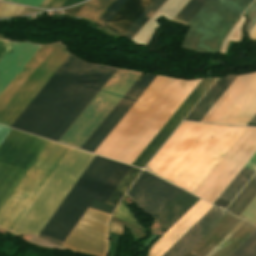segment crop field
Masks as SVG:
<instances>
[{"instance_id":"crop-field-1","label":"crop field","mask_w":256,"mask_h":256,"mask_svg":"<svg viewBox=\"0 0 256 256\" xmlns=\"http://www.w3.org/2000/svg\"><path fill=\"white\" fill-rule=\"evenodd\" d=\"M70 56L61 44L41 46L1 94L0 124L12 127ZM72 56L13 128L57 141L116 70Z\"/></svg>"},{"instance_id":"crop-field-2","label":"crop field","mask_w":256,"mask_h":256,"mask_svg":"<svg viewBox=\"0 0 256 256\" xmlns=\"http://www.w3.org/2000/svg\"><path fill=\"white\" fill-rule=\"evenodd\" d=\"M93 158L71 148L12 232L38 236ZM118 165L95 156L39 237L61 246Z\"/></svg>"},{"instance_id":"crop-field-3","label":"crop field","mask_w":256,"mask_h":256,"mask_svg":"<svg viewBox=\"0 0 256 256\" xmlns=\"http://www.w3.org/2000/svg\"><path fill=\"white\" fill-rule=\"evenodd\" d=\"M48 143L13 129L5 137L0 144V210ZM69 150L50 141L0 211L1 228L11 231Z\"/></svg>"},{"instance_id":"crop-field-4","label":"crop field","mask_w":256,"mask_h":256,"mask_svg":"<svg viewBox=\"0 0 256 256\" xmlns=\"http://www.w3.org/2000/svg\"><path fill=\"white\" fill-rule=\"evenodd\" d=\"M246 129L182 122L145 169L194 194Z\"/></svg>"},{"instance_id":"crop-field-5","label":"crop field","mask_w":256,"mask_h":256,"mask_svg":"<svg viewBox=\"0 0 256 256\" xmlns=\"http://www.w3.org/2000/svg\"><path fill=\"white\" fill-rule=\"evenodd\" d=\"M181 189L145 172L128 190L129 195L148 214L156 216ZM199 198L181 191L155 218L164 234Z\"/></svg>"},{"instance_id":"crop-field-6","label":"crop field","mask_w":256,"mask_h":256,"mask_svg":"<svg viewBox=\"0 0 256 256\" xmlns=\"http://www.w3.org/2000/svg\"><path fill=\"white\" fill-rule=\"evenodd\" d=\"M248 1L208 0L187 24L190 26V29L183 41L182 47L201 53H209L217 34ZM252 1L250 0L218 34L210 53H217L219 51L227 29Z\"/></svg>"},{"instance_id":"crop-field-7","label":"crop field","mask_w":256,"mask_h":256,"mask_svg":"<svg viewBox=\"0 0 256 256\" xmlns=\"http://www.w3.org/2000/svg\"><path fill=\"white\" fill-rule=\"evenodd\" d=\"M140 74L118 70L58 142L80 148Z\"/></svg>"},{"instance_id":"crop-field-8","label":"crop field","mask_w":256,"mask_h":256,"mask_svg":"<svg viewBox=\"0 0 256 256\" xmlns=\"http://www.w3.org/2000/svg\"><path fill=\"white\" fill-rule=\"evenodd\" d=\"M177 82L157 76L94 154L114 159Z\"/></svg>"},{"instance_id":"crop-field-9","label":"crop field","mask_w":256,"mask_h":256,"mask_svg":"<svg viewBox=\"0 0 256 256\" xmlns=\"http://www.w3.org/2000/svg\"><path fill=\"white\" fill-rule=\"evenodd\" d=\"M256 152V129L248 128L194 195L214 201Z\"/></svg>"},{"instance_id":"crop-field-10","label":"crop field","mask_w":256,"mask_h":256,"mask_svg":"<svg viewBox=\"0 0 256 256\" xmlns=\"http://www.w3.org/2000/svg\"><path fill=\"white\" fill-rule=\"evenodd\" d=\"M199 81L200 80L186 82L180 80L132 137V139L127 143V145L122 149V151L117 155L115 160L131 164Z\"/></svg>"},{"instance_id":"crop-field-11","label":"crop field","mask_w":256,"mask_h":256,"mask_svg":"<svg viewBox=\"0 0 256 256\" xmlns=\"http://www.w3.org/2000/svg\"><path fill=\"white\" fill-rule=\"evenodd\" d=\"M166 0H115L96 23L131 39Z\"/></svg>"},{"instance_id":"crop-field-12","label":"crop field","mask_w":256,"mask_h":256,"mask_svg":"<svg viewBox=\"0 0 256 256\" xmlns=\"http://www.w3.org/2000/svg\"><path fill=\"white\" fill-rule=\"evenodd\" d=\"M110 214L88 208L63 245L78 251L105 256Z\"/></svg>"},{"instance_id":"crop-field-13","label":"crop field","mask_w":256,"mask_h":256,"mask_svg":"<svg viewBox=\"0 0 256 256\" xmlns=\"http://www.w3.org/2000/svg\"><path fill=\"white\" fill-rule=\"evenodd\" d=\"M155 77L156 76L154 75L146 74L139 83L135 82L103 122L98 126V128L93 132V134L88 138V140L83 144L81 149L93 153Z\"/></svg>"},{"instance_id":"crop-field-14","label":"crop field","mask_w":256,"mask_h":256,"mask_svg":"<svg viewBox=\"0 0 256 256\" xmlns=\"http://www.w3.org/2000/svg\"><path fill=\"white\" fill-rule=\"evenodd\" d=\"M215 80H201L132 165L142 168Z\"/></svg>"},{"instance_id":"crop-field-15","label":"crop field","mask_w":256,"mask_h":256,"mask_svg":"<svg viewBox=\"0 0 256 256\" xmlns=\"http://www.w3.org/2000/svg\"><path fill=\"white\" fill-rule=\"evenodd\" d=\"M15 42L0 40V60ZM40 46L16 42L0 61V94L38 50Z\"/></svg>"},{"instance_id":"crop-field-16","label":"crop field","mask_w":256,"mask_h":256,"mask_svg":"<svg viewBox=\"0 0 256 256\" xmlns=\"http://www.w3.org/2000/svg\"><path fill=\"white\" fill-rule=\"evenodd\" d=\"M227 214L213 206L162 256H185Z\"/></svg>"},{"instance_id":"crop-field-17","label":"crop field","mask_w":256,"mask_h":256,"mask_svg":"<svg viewBox=\"0 0 256 256\" xmlns=\"http://www.w3.org/2000/svg\"><path fill=\"white\" fill-rule=\"evenodd\" d=\"M213 205L199 200L182 218H180L151 247L149 256H161L167 251L197 220H199Z\"/></svg>"},{"instance_id":"crop-field-18","label":"crop field","mask_w":256,"mask_h":256,"mask_svg":"<svg viewBox=\"0 0 256 256\" xmlns=\"http://www.w3.org/2000/svg\"><path fill=\"white\" fill-rule=\"evenodd\" d=\"M256 76V75H255ZM251 82V81H250ZM256 113V77L217 123L246 125Z\"/></svg>"},{"instance_id":"crop-field-19","label":"crop field","mask_w":256,"mask_h":256,"mask_svg":"<svg viewBox=\"0 0 256 256\" xmlns=\"http://www.w3.org/2000/svg\"><path fill=\"white\" fill-rule=\"evenodd\" d=\"M236 77L218 79L185 120L200 121Z\"/></svg>"},{"instance_id":"crop-field-20","label":"crop field","mask_w":256,"mask_h":256,"mask_svg":"<svg viewBox=\"0 0 256 256\" xmlns=\"http://www.w3.org/2000/svg\"><path fill=\"white\" fill-rule=\"evenodd\" d=\"M240 219L228 214L212 229L190 252L204 256L219 240H221Z\"/></svg>"},{"instance_id":"crop-field-21","label":"crop field","mask_w":256,"mask_h":256,"mask_svg":"<svg viewBox=\"0 0 256 256\" xmlns=\"http://www.w3.org/2000/svg\"><path fill=\"white\" fill-rule=\"evenodd\" d=\"M256 231V227L244 223L214 254L211 256H229L232 254L248 237Z\"/></svg>"},{"instance_id":"crop-field-22","label":"crop field","mask_w":256,"mask_h":256,"mask_svg":"<svg viewBox=\"0 0 256 256\" xmlns=\"http://www.w3.org/2000/svg\"><path fill=\"white\" fill-rule=\"evenodd\" d=\"M256 196V174L251 178L247 185L237 195L233 202L228 206L226 211L236 215H239L249 205V203Z\"/></svg>"},{"instance_id":"crop-field-23","label":"crop field","mask_w":256,"mask_h":256,"mask_svg":"<svg viewBox=\"0 0 256 256\" xmlns=\"http://www.w3.org/2000/svg\"><path fill=\"white\" fill-rule=\"evenodd\" d=\"M255 75L256 73L245 75L244 78L239 82V84L234 88V90L229 94V96L224 100V102L219 106V108L214 112V114L209 118L207 122L216 123L218 119L223 115V113L234 102V100L245 89V87L250 83V81L255 77Z\"/></svg>"},{"instance_id":"crop-field-24","label":"crop field","mask_w":256,"mask_h":256,"mask_svg":"<svg viewBox=\"0 0 256 256\" xmlns=\"http://www.w3.org/2000/svg\"><path fill=\"white\" fill-rule=\"evenodd\" d=\"M255 171L243 168L239 174L234 178L230 185L221 194L220 198L225 199L229 202L238 194V192L243 188V186L248 182V180L253 176Z\"/></svg>"},{"instance_id":"crop-field-25","label":"crop field","mask_w":256,"mask_h":256,"mask_svg":"<svg viewBox=\"0 0 256 256\" xmlns=\"http://www.w3.org/2000/svg\"><path fill=\"white\" fill-rule=\"evenodd\" d=\"M128 169L129 166L120 163V165L110 177L99 195L96 197V200L106 203V201L108 200V198L110 197L116 186L119 184Z\"/></svg>"},{"instance_id":"crop-field-26","label":"crop field","mask_w":256,"mask_h":256,"mask_svg":"<svg viewBox=\"0 0 256 256\" xmlns=\"http://www.w3.org/2000/svg\"><path fill=\"white\" fill-rule=\"evenodd\" d=\"M113 0H90L78 11L77 16L96 21Z\"/></svg>"},{"instance_id":"crop-field-27","label":"crop field","mask_w":256,"mask_h":256,"mask_svg":"<svg viewBox=\"0 0 256 256\" xmlns=\"http://www.w3.org/2000/svg\"><path fill=\"white\" fill-rule=\"evenodd\" d=\"M136 168V167H135ZM130 167L120 184L117 186L109 200L107 201V204L115 205L117 206L119 200L124 195V193L127 191L129 186L132 184L134 179L137 177V175L140 173L141 170L135 169Z\"/></svg>"},{"instance_id":"crop-field-28","label":"crop field","mask_w":256,"mask_h":256,"mask_svg":"<svg viewBox=\"0 0 256 256\" xmlns=\"http://www.w3.org/2000/svg\"><path fill=\"white\" fill-rule=\"evenodd\" d=\"M207 0H190L176 15V17L189 21ZM174 17V20L187 23V21Z\"/></svg>"},{"instance_id":"crop-field-29","label":"crop field","mask_w":256,"mask_h":256,"mask_svg":"<svg viewBox=\"0 0 256 256\" xmlns=\"http://www.w3.org/2000/svg\"><path fill=\"white\" fill-rule=\"evenodd\" d=\"M231 256H256V232Z\"/></svg>"},{"instance_id":"crop-field-30","label":"crop field","mask_w":256,"mask_h":256,"mask_svg":"<svg viewBox=\"0 0 256 256\" xmlns=\"http://www.w3.org/2000/svg\"><path fill=\"white\" fill-rule=\"evenodd\" d=\"M113 216V215H112ZM114 217L126 220L132 224H134L135 226L141 228V226L137 223L135 217L133 216V214L129 211V209L126 207L125 204L121 203L119 204Z\"/></svg>"},{"instance_id":"crop-field-31","label":"crop field","mask_w":256,"mask_h":256,"mask_svg":"<svg viewBox=\"0 0 256 256\" xmlns=\"http://www.w3.org/2000/svg\"><path fill=\"white\" fill-rule=\"evenodd\" d=\"M244 75L238 76L236 80L231 84V86L225 91V93L220 97V99L214 104V106L208 111V113L203 117L201 121L206 122L207 119L212 115V113L217 109V107L222 103V101L227 97V95L232 91V89L237 85V83L242 79Z\"/></svg>"},{"instance_id":"crop-field-32","label":"crop field","mask_w":256,"mask_h":256,"mask_svg":"<svg viewBox=\"0 0 256 256\" xmlns=\"http://www.w3.org/2000/svg\"><path fill=\"white\" fill-rule=\"evenodd\" d=\"M240 218L254 225L256 224V197L250 203V205L245 209V211L241 214Z\"/></svg>"},{"instance_id":"crop-field-33","label":"crop field","mask_w":256,"mask_h":256,"mask_svg":"<svg viewBox=\"0 0 256 256\" xmlns=\"http://www.w3.org/2000/svg\"><path fill=\"white\" fill-rule=\"evenodd\" d=\"M246 15L250 17V23L248 25L247 31H249L256 25V0L252 5L245 11Z\"/></svg>"},{"instance_id":"crop-field-34","label":"crop field","mask_w":256,"mask_h":256,"mask_svg":"<svg viewBox=\"0 0 256 256\" xmlns=\"http://www.w3.org/2000/svg\"><path fill=\"white\" fill-rule=\"evenodd\" d=\"M90 208L97 209V210L112 214L113 210L115 209V206H111V205H107L104 203L94 201L92 203V205L90 206Z\"/></svg>"},{"instance_id":"crop-field-35","label":"crop field","mask_w":256,"mask_h":256,"mask_svg":"<svg viewBox=\"0 0 256 256\" xmlns=\"http://www.w3.org/2000/svg\"><path fill=\"white\" fill-rule=\"evenodd\" d=\"M243 223L244 221L241 220L206 256L214 253Z\"/></svg>"},{"instance_id":"crop-field-36","label":"crop field","mask_w":256,"mask_h":256,"mask_svg":"<svg viewBox=\"0 0 256 256\" xmlns=\"http://www.w3.org/2000/svg\"><path fill=\"white\" fill-rule=\"evenodd\" d=\"M64 0H45L40 7L42 8H59Z\"/></svg>"},{"instance_id":"crop-field-37","label":"crop field","mask_w":256,"mask_h":256,"mask_svg":"<svg viewBox=\"0 0 256 256\" xmlns=\"http://www.w3.org/2000/svg\"><path fill=\"white\" fill-rule=\"evenodd\" d=\"M5 1L18 2V3L32 5L36 7H39L40 4L43 2V0H5Z\"/></svg>"},{"instance_id":"crop-field-38","label":"crop field","mask_w":256,"mask_h":256,"mask_svg":"<svg viewBox=\"0 0 256 256\" xmlns=\"http://www.w3.org/2000/svg\"><path fill=\"white\" fill-rule=\"evenodd\" d=\"M245 167L253 169L256 171V153L254 156L249 160V162L245 165Z\"/></svg>"},{"instance_id":"crop-field-39","label":"crop field","mask_w":256,"mask_h":256,"mask_svg":"<svg viewBox=\"0 0 256 256\" xmlns=\"http://www.w3.org/2000/svg\"><path fill=\"white\" fill-rule=\"evenodd\" d=\"M228 204H229V202L224 201V200H222V199H220V198H218V199L216 200V202L214 203V205H216V206H218V207H220V208H222V209H225Z\"/></svg>"},{"instance_id":"crop-field-40","label":"crop field","mask_w":256,"mask_h":256,"mask_svg":"<svg viewBox=\"0 0 256 256\" xmlns=\"http://www.w3.org/2000/svg\"><path fill=\"white\" fill-rule=\"evenodd\" d=\"M10 131V128L0 126V143L4 139V137L7 135V133Z\"/></svg>"},{"instance_id":"crop-field-41","label":"crop field","mask_w":256,"mask_h":256,"mask_svg":"<svg viewBox=\"0 0 256 256\" xmlns=\"http://www.w3.org/2000/svg\"><path fill=\"white\" fill-rule=\"evenodd\" d=\"M249 35H250L251 39H256V26L252 29V31L249 33Z\"/></svg>"},{"instance_id":"crop-field-42","label":"crop field","mask_w":256,"mask_h":256,"mask_svg":"<svg viewBox=\"0 0 256 256\" xmlns=\"http://www.w3.org/2000/svg\"><path fill=\"white\" fill-rule=\"evenodd\" d=\"M247 125L256 126V114H255L254 117L249 121V123H248Z\"/></svg>"}]
</instances>
